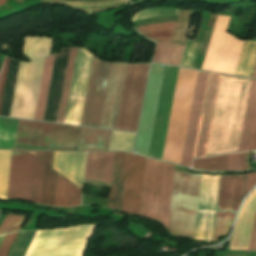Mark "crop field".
Segmentation results:
<instances>
[{
    "instance_id": "crop-field-1",
    "label": "crop field",
    "mask_w": 256,
    "mask_h": 256,
    "mask_svg": "<svg viewBox=\"0 0 256 256\" xmlns=\"http://www.w3.org/2000/svg\"><path fill=\"white\" fill-rule=\"evenodd\" d=\"M250 81L222 75L206 156L237 151Z\"/></svg>"
},
{
    "instance_id": "crop-field-2",
    "label": "crop field",
    "mask_w": 256,
    "mask_h": 256,
    "mask_svg": "<svg viewBox=\"0 0 256 256\" xmlns=\"http://www.w3.org/2000/svg\"><path fill=\"white\" fill-rule=\"evenodd\" d=\"M18 120L0 118V149H13ZM80 127L19 120L14 149L75 150ZM33 149H43L34 145Z\"/></svg>"
},
{
    "instance_id": "crop-field-3",
    "label": "crop field",
    "mask_w": 256,
    "mask_h": 256,
    "mask_svg": "<svg viewBox=\"0 0 256 256\" xmlns=\"http://www.w3.org/2000/svg\"><path fill=\"white\" fill-rule=\"evenodd\" d=\"M197 73L195 70H179L163 160L181 162Z\"/></svg>"
},
{
    "instance_id": "crop-field-4",
    "label": "crop field",
    "mask_w": 256,
    "mask_h": 256,
    "mask_svg": "<svg viewBox=\"0 0 256 256\" xmlns=\"http://www.w3.org/2000/svg\"><path fill=\"white\" fill-rule=\"evenodd\" d=\"M46 152L12 151L7 198L41 204Z\"/></svg>"
},
{
    "instance_id": "crop-field-5",
    "label": "crop field",
    "mask_w": 256,
    "mask_h": 256,
    "mask_svg": "<svg viewBox=\"0 0 256 256\" xmlns=\"http://www.w3.org/2000/svg\"><path fill=\"white\" fill-rule=\"evenodd\" d=\"M96 225L36 231L25 256H84Z\"/></svg>"
},
{
    "instance_id": "crop-field-6",
    "label": "crop field",
    "mask_w": 256,
    "mask_h": 256,
    "mask_svg": "<svg viewBox=\"0 0 256 256\" xmlns=\"http://www.w3.org/2000/svg\"><path fill=\"white\" fill-rule=\"evenodd\" d=\"M200 175L175 171L170 225L171 233L193 238Z\"/></svg>"
},
{
    "instance_id": "crop-field-7",
    "label": "crop field",
    "mask_w": 256,
    "mask_h": 256,
    "mask_svg": "<svg viewBox=\"0 0 256 256\" xmlns=\"http://www.w3.org/2000/svg\"><path fill=\"white\" fill-rule=\"evenodd\" d=\"M230 18L224 16L216 17L202 70L235 73L244 41L225 32Z\"/></svg>"
},
{
    "instance_id": "crop-field-8",
    "label": "crop field",
    "mask_w": 256,
    "mask_h": 256,
    "mask_svg": "<svg viewBox=\"0 0 256 256\" xmlns=\"http://www.w3.org/2000/svg\"><path fill=\"white\" fill-rule=\"evenodd\" d=\"M148 67L127 64L115 129L136 131Z\"/></svg>"
},
{
    "instance_id": "crop-field-9",
    "label": "crop field",
    "mask_w": 256,
    "mask_h": 256,
    "mask_svg": "<svg viewBox=\"0 0 256 256\" xmlns=\"http://www.w3.org/2000/svg\"><path fill=\"white\" fill-rule=\"evenodd\" d=\"M44 60L20 62L10 117L33 119Z\"/></svg>"
},
{
    "instance_id": "crop-field-10",
    "label": "crop field",
    "mask_w": 256,
    "mask_h": 256,
    "mask_svg": "<svg viewBox=\"0 0 256 256\" xmlns=\"http://www.w3.org/2000/svg\"><path fill=\"white\" fill-rule=\"evenodd\" d=\"M179 68L165 66L148 155L162 157Z\"/></svg>"
},
{
    "instance_id": "crop-field-11",
    "label": "crop field",
    "mask_w": 256,
    "mask_h": 256,
    "mask_svg": "<svg viewBox=\"0 0 256 256\" xmlns=\"http://www.w3.org/2000/svg\"><path fill=\"white\" fill-rule=\"evenodd\" d=\"M220 176L201 175L194 239L213 242Z\"/></svg>"
},
{
    "instance_id": "crop-field-12",
    "label": "crop field",
    "mask_w": 256,
    "mask_h": 256,
    "mask_svg": "<svg viewBox=\"0 0 256 256\" xmlns=\"http://www.w3.org/2000/svg\"><path fill=\"white\" fill-rule=\"evenodd\" d=\"M244 176H221L214 242L228 234L242 200Z\"/></svg>"
},
{
    "instance_id": "crop-field-13",
    "label": "crop field",
    "mask_w": 256,
    "mask_h": 256,
    "mask_svg": "<svg viewBox=\"0 0 256 256\" xmlns=\"http://www.w3.org/2000/svg\"><path fill=\"white\" fill-rule=\"evenodd\" d=\"M92 58L85 48H78L64 123H80Z\"/></svg>"
},
{
    "instance_id": "crop-field-14",
    "label": "crop field",
    "mask_w": 256,
    "mask_h": 256,
    "mask_svg": "<svg viewBox=\"0 0 256 256\" xmlns=\"http://www.w3.org/2000/svg\"><path fill=\"white\" fill-rule=\"evenodd\" d=\"M146 158L128 154L126 158L121 211L140 216Z\"/></svg>"
},
{
    "instance_id": "crop-field-15",
    "label": "crop field",
    "mask_w": 256,
    "mask_h": 256,
    "mask_svg": "<svg viewBox=\"0 0 256 256\" xmlns=\"http://www.w3.org/2000/svg\"><path fill=\"white\" fill-rule=\"evenodd\" d=\"M165 163L148 159L146 162L141 216L159 221Z\"/></svg>"
},
{
    "instance_id": "crop-field-16",
    "label": "crop field",
    "mask_w": 256,
    "mask_h": 256,
    "mask_svg": "<svg viewBox=\"0 0 256 256\" xmlns=\"http://www.w3.org/2000/svg\"><path fill=\"white\" fill-rule=\"evenodd\" d=\"M220 77L221 75L218 74L209 73L208 75L193 158L202 157L206 154Z\"/></svg>"
},
{
    "instance_id": "crop-field-17",
    "label": "crop field",
    "mask_w": 256,
    "mask_h": 256,
    "mask_svg": "<svg viewBox=\"0 0 256 256\" xmlns=\"http://www.w3.org/2000/svg\"><path fill=\"white\" fill-rule=\"evenodd\" d=\"M208 73L199 71L192 104L182 165L190 167Z\"/></svg>"
},
{
    "instance_id": "crop-field-18",
    "label": "crop field",
    "mask_w": 256,
    "mask_h": 256,
    "mask_svg": "<svg viewBox=\"0 0 256 256\" xmlns=\"http://www.w3.org/2000/svg\"><path fill=\"white\" fill-rule=\"evenodd\" d=\"M85 152H54L52 169L81 188Z\"/></svg>"
},
{
    "instance_id": "crop-field-19",
    "label": "crop field",
    "mask_w": 256,
    "mask_h": 256,
    "mask_svg": "<svg viewBox=\"0 0 256 256\" xmlns=\"http://www.w3.org/2000/svg\"><path fill=\"white\" fill-rule=\"evenodd\" d=\"M256 209V189L244 203L237 219L231 249H247Z\"/></svg>"
},
{
    "instance_id": "crop-field-20",
    "label": "crop field",
    "mask_w": 256,
    "mask_h": 256,
    "mask_svg": "<svg viewBox=\"0 0 256 256\" xmlns=\"http://www.w3.org/2000/svg\"><path fill=\"white\" fill-rule=\"evenodd\" d=\"M114 153L87 152L85 178L111 183Z\"/></svg>"
},
{
    "instance_id": "crop-field-21",
    "label": "crop field",
    "mask_w": 256,
    "mask_h": 256,
    "mask_svg": "<svg viewBox=\"0 0 256 256\" xmlns=\"http://www.w3.org/2000/svg\"><path fill=\"white\" fill-rule=\"evenodd\" d=\"M256 115V80L252 79L238 151L249 150Z\"/></svg>"
},
{
    "instance_id": "crop-field-22",
    "label": "crop field",
    "mask_w": 256,
    "mask_h": 256,
    "mask_svg": "<svg viewBox=\"0 0 256 256\" xmlns=\"http://www.w3.org/2000/svg\"><path fill=\"white\" fill-rule=\"evenodd\" d=\"M126 153H115L112 189L108 197V207L120 210Z\"/></svg>"
},
{
    "instance_id": "crop-field-23",
    "label": "crop field",
    "mask_w": 256,
    "mask_h": 256,
    "mask_svg": "<svg viewBox=\"0 0 256 256\" xmlns=\"http://www.w3.org/2000/svg\"><path fill=\"white\" fill-rule=\"evenodd\" d=\"M110 65L111 63H106V62H102L101 64V69H100V74H99V79H98V84H97L89 126L99 127L100 125V119H101V114L103 109V103H104L107 81H108V76L110 71Z\"/></svg>"
},
{
    "instance_id": "crop-field-24",
    "label": "crop field",
    "mask_w": 256,
    "mask_h": 256,
    "mask_svg": "<svg viewBox=\"0 0 256 256\" xmlns=\"http://www.w3.org/2000/svg\"><path fill=\"white\" fill-rule=\"evenodd\" d=\"M81 190L58 175L55 205L72 207L78 206Z\"/></svg>"
},
{
    "instance_id": "crop-field-25",
    "label": "crop field",
    "mask_w": 256,
    "mask_h": 256,
    "mask_svg": "<svg viewBox=\"0 0 256 256\" xmlns=\"http://www.w3.org/2000/svg\"><path fill=\"white\" fill-rule=\"evenodd\" d=\"M108 130L82 127L77 150H104Z\"/></svg>"
},
{
    "instance_id": "crop-field-26",
    "label": "crop field",
    "mask_w": 256,
    "mask_h": 256,
    "mask_svg": "<svg viewBox=\"0 0 256 256\" xmlns=\"http://www.w3.org/2000/svg\"><path fill=\"white\" fill-rule=\"evenodd\" d=\"M101 62L93 58L80 125L88 126Z\"/></svg>"
},
{
    "instance_id": "crop-field-27",
    "label": "crop field",
    "mask_w": 256,
    "mask_h": 256,
    "mask_svg": "<svg viewBox=\"0 0 256 256\" xmlns=\"http://www.w3.org/2000/svg\"><path fill=\"white\" fill-rule=\"evenodd\" d=\"M184 46L158 42L152 62L179 65Z\"/></svg>"
},
{
    "instance_id": "crop-field-28",
    "label": "crop field",
    "mask_w": 256,
    "mask_h": 256,
    "mask_svg": "<svg viewBox=\"0 0 256 256\" xmlns=\"http://www.w3.org/2000/svg\"><path fill=\"white\" fill-rule=\"evenodd\" d=\"M54 56L47 57L45 60L44 70H43V76L37 101V107L35 112L34 119L42 121L44 109H45V103L52 73V67L54 62Z\"/></svg>"
},
{
    "instance_id": "crop-field-29",
    "label": "crop field",
    "mask_w": 256,
    "mask_h": 256,
    "mask_svg": "<svg viewBox=\"0 0 256 256\" xmlns=\"http://www.w3.org/2000/svg\"><path fill=\"white\" fill-rule=\"evenodd\" d=\"M51 41L52 39H48V38L25 37L23 56H27L31 60H33V59H37V58L49 55Z\"/></svg>"
},
{
    "instance_id": "crop-field-30",
    "label": "crop field",
    "mask_w": 256,
    "mask_h": 256,
    "mask_svg": "<svg viewBox=\"0 0 256 256\" xmlns=\"http://www.w3.org/2000/svg\"><path fill=\"white\" fill-rule=\"evenodd\" d=\"M173 171L174 166L166 163L160 221L167 228L169 224Z\"/></svg>"
},
{
    "instance_id": "crop-field-31",
    "label": "crop field",
    "mask_w": 256,
    "mask_h": 256,
    "mask_svg": "<svg viewBox=\"0 0 256 256\" xmlns=\"http://www.w3.org/2000/svg\"><path fill=\"white\" fill-rule=\"evenodd\" d=\"M176 22L138 27V31L152 40L171 42Z\"/></svg>"
},
{
    "instance_id": "crop-field-32",
    "label": "crop field",
    "mask_w": 256,
    "mask_h": 256,
    "mask_svg": "<svg viewBox=\"0 0 256 256\" xmlns=\"http://www.w3.org/2000/svg\"><path fill=\"white\" fill-rule=\"evenodd\" d=\"M52 152H47L42 204L54 205L57 173L51 170Z\"/></svg>"
},
{
    "instance_id": "crop-field-33",
    "label": "crop field",
    "mask_w": 256,
    "mask_h": 256,
    "mask_svg": "<svg viewBox=\"0 0 256 256\" xmlns=\"http://www.w3.org/2000/svg\"><path fill=\"white\" fill-rule=\"evenodd\" d=\"M120 63H112L100 127L107 128Z\"/></svg>"
},
{
    "instance_id": "crop-field-34",
    "label": "crop field",
    "mask_w": 256,
    "mask_h": 256,
    "mask_svg": "<svg viewBox=\"0 0 256 256\" xmlns=\"http://www.w3.org/2000/svg\"><path fill=\"white\" fill-rule=\"evenodd\" d=\"M255 56L256 41H245L235 74L249 77Z\"/></svg>"
},
{
    "instance_id": "crop-field-35",
    "label": "crop field",
    "mask_w": 256,
    "mask_h": 256,
    "mask_svg": "<svg viewBox=\"0 0 256 256\" xmlns=\"http://www.w3.org/2000/svg\"><path fill=\"white\" fill-rule=\"evenodd\" d=\"M77 48H71L57 122L63 123Z\"/></svg>"
},
{
    "instance_id": "crop-field-36",
    "label": "crop field",
    "mask_w": 256,
    "mask_h": 256,
    "mask_svg": "<svg viewBox=\"0 0 256 256\" xmlns=\"http://www.w3.org/2000/svg\"><path fill=\"white\" fill-rule=\"evenodd\" d=\"M135 133L113 131L109 150L132 151Z\"/></svg>"
},
{
    "instance_id": "crop-field-37",
    "label": "crop field",
    "mask_w": 256,
    "mask_h": 256,
    "mask_svg": "<svg viewBox=\"0 0 256 256\" xmlns=\"http://www.w3.org/2000/svg\"><path fill=\"white\" fill-rule=\"evenodd\" d=\"M193 11H181L172 43L185 44Z\"/></svg>"
},
{
    "instance_id": "crop-field-38",
    "label": "crop field",
    "mask_w": 256,
    "mask_h": 256,
    "mask_svg": "<svg viewBox=\"0 0 256 256\" xmlns=\"http://www.w3.org/2000/svg\"><path fill=\"white\" fill-rule=\"evenodd\" d=\"M179 12L177 8H169V7H156L149 8L135 13L132 18V21H137L146 18L152 17H166V16H176Z\"/></svg>"
},
{
    "instance_id": "crop-field-39",
    "label": "crop field",
    "mask_w": 256,
    "mask_h": 256,
    "mask_svg": "<svg viewBox=\"0 0 256 256\" xmlns=\"http://www.w3.org/2000/svg\"><path fill=\"white\" fill-rule=\"evenodd\" d=\"M193 167L206 170H227L226 155L195 159Z\"/></svg>"
},
{
    "instance_id": "crop-field-40",
    "label": "crop field",
    "mask_w": 256,
    "mask_h": 256,
    "mask_svg": "<svg viewBox=\"0 0 256 256\" xmlns=\"http://www.w3.org/2000/svg\"><path fill=\"white\" fill-rule=\"evenodd\" d=\"M11 151H0V197L6 198Z\"/></svg>"
},
{
    "instance_id": "crop-field-41",
    "label": "crop field",
    "mask_w": 256,
    "mask_h": 256,
    "mask_svg": "<svg viewBox=\"0 0 256 256\" xmlns=\"http://www.w3.org/2000/svg\"><path fill=\"white\" fill-rule=\"evenodd\" d=\"M201 43L202 42L198 41H187L185 52L180 66L191 68L195 67Z\"/></svg>"
},
{
    "instance_id": "crop-field-42",
    "label": "crop field",
    "mask_w": 256,
    "mask_h": 256,
    "mask_svg": "<svg viewBox=\"0 0 256 256\" xmlns=\"http://www.w3.org/2000/svg\"><path fill=\"white\" fill-rule=\"evenodd\" d=\"M126 64L121 63L108 128L114 129Z\"/></svg>"
},
{
    "instance_id": "crop-field-43",
    "label": "crop field",
    "mask_w": 256,
    "mask_h": 256,
    "mask_svg": "<svg viewBox=\"0 0 256 256\" xmlns=\"http://www.w3.org/2000/svg\"><path fill=\"white\" fill-rule=\"evenodd\" d=\"M26 215L8 214L0 225V234L19 230Z\"/></svg>"
},
{
    "instance_id": "crop-field-44",
    "label": "crop field",
    "mask_w": 256,
    "mask_h": 256,
    "mask_svg": "<svg viewBox=\"0 0 256 256\" xmlns=\"http://www.w3.org/2000/svg\"><path fill=\"white\" fill-rule=\"evenodd\" d=\"M35 231L22 232L9 256H24Z\"/></svg>"
},
{
    "instance_id": "crop-field-45",
    "label": "crop field",
    "mask_w": 256,
    "mask_h": 256,
    "mask_svg": "<svg viewBox=\"0 0 256 256\" xmlns=\"http://www.w3.org/2000/svg\"><path fill=\"white\" fill-rule=\"evenodd\" d=\"M228 170L246 169L244 153L227 155Z\"/></svg>"
},
{
    "instance_id": "crop-field-46",
    "label": "crop field",
    "mask_w": 256,
    "mask_h": 256,
    "mask_svg": "<svg viewBox=\"0 0 256 256\" xmlns=\"http://www.w3.org/2000/svg\"><path fill=\"white\" fill-rule=\"evenodd\" d=\"M17 234H18V232L6 234L2 244L0 246V256H5L6 255L10 246L12 245L14 239L16 238Z\"/></svg>"
},
{
    "instance_id": "crop-field-47",
    "label": "crop field",
    "mask_w": 256,
    "mask_h": 256,
    "mask_svg": "<svg viewBox=\"0 0 256 256\" xmlns=\"http://www.w3.org/2000/svg\"><path fill=\"white\" fill-rule=\"evenodd\" d=\"M9 61H10V58H6L5 65H4V71H3V76H2V81H1V87H0V108H1V103H2V97H3L6 77H7Z\"/></svg>"
},
{
    "instance_id": "crop-field-48",
    "label": "crop field",
    "mask_w": 256,
    "mask_h": 256,
    "mask_svg": "<svg viewBox=\"0 0 256 256\" xmlns=\"http://www.w3.org/2000/svg\"><path fill=\"white\" fill-rule=\"evenodd\" d=\"M256 183V172L246 174V186H245V194L253 187V185Z\"/></svg>"
},
{
    "instance_id": "crop-field-49",
    "label": "crop field",
    "mask_w": 256,
    "mask_h": 256,
    "mask_svg": "<svg viewBox=\"0 0 256 256\" xmlns=\"http://www.w3.org/2000/svg\"><path fill=\"white\" fill-rule=\"evenodd\" d=\"M248 249H256V214H255V219H254V223H253V228H252V233H251V238H250Z\"/></svg>"
},
{
    "instance_id": "crop-field-50",
    "label": "crop field",
    "mask_w": 256,
    "mask_h": 256,
    "mask_svg": "<svg viewBox=\"0 0 256 256\" xmlns=\"http://www.w3.org/2000/svg\"><path fill=\"white\" fill-rule=\"evenodd\" d=\"M252 149H256V123H255V128H254V133H253V138H252V143H251V148Z\"/></svg>"
},
{
    "instance_id": "crop-field-51",
    "label": "crop field",
    "mask_w": 256,
    "mask_h": 256,
    "mask_svg": "<svg viewBox=\"0 0 256 256\" xmlns=\"http://www.w3.org/2000/svg\"><path fill=\"white\" fill-rule=\"evenodd\" d=\"M250 77L256 78V59Z\"/></svg>"
},
{
    "instance_id": "crop-field-52",
    "label": "crop field",
    "mask_w": 256,
    "mask_h": 256,
    "mask_svg": "<svg viewBox=\"0 0 256 256\" xmlns=\"http://www.w3.org/2000/svg\"><path fill=\"white\" fill-rule=\"evenodd\" d=\"M112 131L109 130L105 150H108Z\"/></svg>"
},
{
    "instance_id": "crop-field-53",
    "label": "crop field",
    "mask_w": 256,
    "mask_h": 256,
    "mask_svg": "<svg viewBox=\"0 0 256 256\" xmlns=\"http://www.w3.org/2000/svg\"><path fill=\"white\" fill-rule=\"evenodd\" d=\"M4 236H5V234H4V235H0V244H1V242H2V240H3V238H4Z\"/></svg>"
},
{
    "instance_id": "crop-field-54",
    "label": "crop field",
    "mask_w": 256,
    "mask_h": 256,
    "mask_svg": "<svg viewBox=\"0 0 256 256\" xmlns=\"http://www.w3.org/2000/svg\"><path fill=\"white\" fill-rule=\"evenodd\" d=\"M5 2H6V0H0V4H3Z\"/></svg>"
},
{
    "instance_id": "crop-field-55",
    "label": "crop field",
    "mask_w": 256,
    "mask_h": 256,
    "mask_svg": "<svg viewBox=\"0 0 256 256\" xmlns=\"http://www.w3.org/2000/svg\"><path fill=\"white\" fill-rule=\"evenodd\" d=\"M2 71H3V69H2ZM1 76H2V72H1V75H0V81H1Z\"/></svg>"
},
{
    "instance_id": "crop-field-56",
    "label": "crop field",
    "mask_w": 256,
    "mask_h": 256,
    "mask_svg": "<svg viewBox=\"0 0 256 256\" xmlns=\"http://www.w3.org/2000/svg\"><path fill=\"white\" fill-rule=\"evenodd\" d=\"M21 1H22V0H18L17 2H19V3H20Z\"/></svg>"
},
{
    "instance_id": "crop-field-57",
    "label": "crop field",
    "mask_w": 256,
    "mask_h": 256,
    "mask_svg": "<svg viewBox=\"0 0 256 256\" xmlns=\"http://www.w3.org/2000/svg\"><path fill=\"white\" fill-rule=\"evenodd\" d=\"M2 209H0V212H1Z\"/></svg>"
}]
</instances>
